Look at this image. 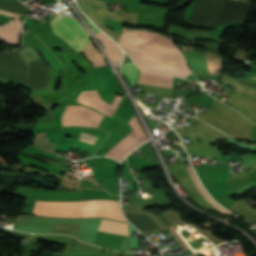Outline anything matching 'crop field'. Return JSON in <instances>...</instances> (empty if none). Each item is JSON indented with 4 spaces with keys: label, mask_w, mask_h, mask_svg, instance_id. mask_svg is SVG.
<instances>
[{
    "label": "crop field",
    "mask_w": 256,
    "mask_h": 256,
    "mask_svg": "<svg viewBox=\"0 0 256 256\" xmlns=\"http://www.w3.org/2000/svg\"><path fill=\"white\" fill-rule=\"evenodd\" d=\"M118 44L146 71L183 78L192 74L171 39L156 32L123 28Z\"/></svg>",
    "instance_id": "obj_1"
},
{
    "label": "crop field",
    "mask_w": 256,
    "mask_h": 256,
    "mask_svg": "<svg viewBox=\"0 0 256 256\" xmlns=\"http://www.w3.org/2000/svg\"><path fill=\"white\" fill-rule=\"evenodd\" d=\"M31 214L73 218L102 216L127 221L119 210L118 201L105 199L75 202L36 201Z\"/></svg>",
    "instance_id": "obj_2"
},
{
    "label": "crop field",
    "mask_w": 256,
    "mask_h": 256,
    "mask_svg": "<svg viewBox=\"0 0 256 256\" xmlns=\"http://www.w3.org/2000/svg\"><path fill=\"white\" fill-rule=\"evenodd\" d=\"M50 22L53 33L79 53L85 50L90 38L78 20L58 14Z\"/></svg>",
    "instance_id": "obj_3"
},
{
    "label": "crop field",
    "mask_w": 256,
    "mask_h": 256,
    "mask_svg": "<svg viewBox=\"0 0 256 256\" xmlns=\"http://www.w3.org/2000/svg\"><path fill=\"white\" fill-rule=\"evenodd\" d=\"M20 24L21 21L17 18L0 26V40L5 41L7 45H19Z\"/></svg>",
    "instance_id": "obj_4"
},
{
    "label": "crop field",
    "mask_w": 256,
    "mask_h": 256,
    "mask_svg": "<svg viewBox=\"0 0 256 256\" xmlns=\"http://www.w3.org/2000/svg\"><path fill=\"white\" fill-rule=\"evenodd\" d=\"M140 79L138 83L141 84H150V85H159L164 87L172 88L173 77L148 74L140 71Z\"/></svg>",
    "instance_id": "obj_5"
},
{
    "label": "crop field",
    "mask_w": 256,
    "mask_h": 256,
    "mask_svg": "<svg viewBox=\"0 0 256 256\" xmlns=\"http://www.w3.org/2000/svg\"><path fill=\"white\" fill-rule=\"evenodd\" d=\"M96 36L104 45L108 55L110 56L114 65L117 67L121 59V50L109 38L104 36L102 33L99 32Z\"/></svg>",
    "instance_id": "obj_6"
},
{
    "label": "crop field",
    "mask_w": 256,
    "mask_h": 256,
    "mask_svg": "<svg viewBox=\"0 0 256 256\" xmlns=\"http://www.w3.org/2000/svg\"><path fill=\"white\" fill-rule=\"evenodd\" d=\"M90 62L94 64L95 67L104 66L106 63L104 62L103 57L100 55V53L94 48L91 41L88 44L86 50L82 52Z\"/></svg>",
    "instance_id": "obj_7"
},
{
    "label": "crop field",
    "mask_w": 256,
    "mask_h": 256,
    "mask_svg": "<svg viewBox=\"0 0 256 256\" xmlns=\"http://www.w3.org/2000/svg\"><path fill=\"white\" fill-rule=\"evenodd\" d=\"M102 230H110L128 233L127 223L103 219L100 225Z\"/></svg>",
    "instance_id": "obj_8"
},
{
    "label": "crop field",
    "mask_w": 256,
    "mask_h": 256,
    "mask_svg": "<svg viewBox=\"0 0 256 256\" xmlns=\"http://www.w3.org/2000/svg\"><path fill=\"white\" fill-rule=\"evenodd\" d=\"M0 10L17 13V14H22L30 9L19 2L10 0L9 2L0 1Z\"/></svg>",
    "instance_id": "obj_9"
},
{
    "label": "crop field",
    "mask_w": 256,
    "mask_h": 256,
    "mask_svg": "<svg viewBox=\"0 0 256 256\" xmlns=\"http://www.w3.org/2000/svg\"><path fill=\"white\" fill-rule=\"evenodd\" d=\"M187 171L191 177V179L193 180V182L195 183L196 187L198 188V190L200 191V193L203 195V197L209 201L214 207H216L218 210H220L222 213L227 214L229 213L228 211H226L223 207H221L220 205H218L216 202H214L207 194L206 192L202 189L198 179L196 178L191 166L186 167Z\"/></svg>",
    "instance_id": "obj_10"
},
{
    "label": "crop field",
    "mask_w": 256,
    "mask_h": 256,
    "mask_svg": "<svg viewBox=\"0 0 256 256\" xmlns=\"http://www.w3.org/2000/svg\"><path fill=\"white\" fill-rule=\"evenodd\" d=\"M121 70H122L124 76L126 77V79L128 80V82L130 83V85H133L134 82L137 80V76H138V72H137L133 62L123 64L121 67Z\"/></svg>",
    "instance_id": "obj_11"
},
{
    "label": "crop field",
    "mask_w": 256,
    "mask_h": 256,
    "mask_svg": "<svg viewBox=\"0 0 256 256\" xmlns=\"http://www.w3.org/2000/svg\"><path fill=\"white\" fill-rule=\"evenodd\" d=\"M96 181L100 186H102L104 189L109 188H119L117 179L116 178H110V179H93Z\"/></svg>",
    "instance_id": "obj_12"
},
{
    "label": "crop field",
    "mask_w": 256,
    "mask_h": 256,
    "mask_svg": "<svg viewBox=\"0 0 256 256\" xmlns=\"http://www.w3.org/2000/svg\"><path fill=\"white\" fill-rule=\"evenodd\" d=\"M78 225L56 224L55 232L75 233Z\"/></svg>",
    "instance_id": "obj_13"
},
{
    "label": "crop field",
    "mask_w": 256,
    "mask_h": 256,
    "mask_svg": "<svg viewBox=\"0 0 256 256\" xmlns=\"http://www.w3.org/2000/svg\"><path fill=\"white\" fill-rule=\"evenodd\" d=\"M80 139L94 143V142L96 141L97 137H94V136H92V135L85 134V133H82V132H81V134H80Z\"/></svg>",
    "instance_id": "obj_14"
},
{
    "label": "crop field",
    "mask_w": 256,
    "mask_h": 256,
    "mask_svg": "<svg viewBox=\"0 0 256 256\" xmlns=\"http://www.w3.org/2000/svg\"><path fill=\"white\" fill-rule=\"evenodd\" d=\"M83 17L86 19V21L88 22V24L90 25L91 29L93 30V32L96 35L99 32V30L84 15H83Z\"/></svg>",
    "instance_id": "obj_15"
},
{
    "label": "crop field",
    "mask_w": 256,
    "mask_h": 256,
    "mask_svg": "<svg viewBox=\"0 0 256 256\" xmlns=\"http://www.w3.org/2000/svg\"><path fill=\"white\" fill-rule=\"evenodd\" d=\"M0 13L5 14V15H9V16H13V17L18 16L17 14H12V13H8V12H4V11H0Z\"/></svg>",
    "instance_id": "obj_16"
}]
</instances>
